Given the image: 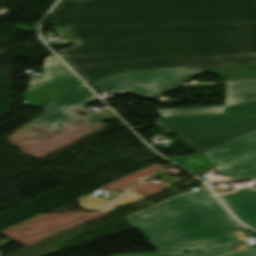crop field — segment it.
<instances>
[{
  "label": "crop field",
  "instance_id": "crop-field-1",
  "mask_svg": "<svg viewBox=\"0 0 256 256\" xmlns=\"http://www.w3.org/2000/svg\"><path fill=\"white\" fill-rule=\"evenodd\" d=\"M50 16L76 43L60 57L88 84L168 67L256 65V0L59 1Z\"/></svg>",
  "mask_w": 256,
  "mask_h": 256
},
{
  "label": "crop field",
  "instance_id": "crop-field-2",
  "mask_svg": "<svg viewBox=\"0 0 256 256\" xmlns=\"http://www.w3.org/2000/svg\"><path fill=\"white\" fill-rule=\"evenodd\" d=\"M127 219L153 243L232 219V216L207 189L197 193L187 191Z\"/></svg>",
  "mask_w": 256,
  "mask_h": 256
},
{
  "label": "crop field",
  "instance_id": "crop-field-3",
  "mask_svg": "<svg viewBox=\"0 0 256 256\" xmlns=\"http://www.w3.org/2000/svg\"><path fill=\"white\" fill-rule=\"evenodd\" d=\"M156 124L165 134L175 133L200 154L256 131V102L226 108L225 115L163 118Z\"/></svg>",
  "mask_w": 256,
  "mask_h": 256
},
{
  "label": "crop field",
  "instance_id": "crop-field-4",
  "mask_svg": "<svg viewBox=\"0 0 256 256\" xmlns=\"http://www.w3.org/2000/svg\"><path fill=\"white\" fill-rule=\"evenodd\" d=\"M220 173L234 180L256 176V132L204 153ZM234 215L251 227L256 223V190L240 189L220 196Z\"/></svg>",
  "mask_w": 256,
  "mask_h": 256
},
{
  "label": "crop field",
  "instance_id": "crop-field-5",
  "mask_svg": "<svg viewBox=\"0 0 256 256\" xmlns=\"http://www.w3.org/2000/svg\"><path fill=\"white\" fill-rule=\"evenodd\" d=\"M204 73L186 68L119 75L101 82L93 83L101 92L114 88L115 93L137 94L153 99Z\"/></svg>",
  "mask_w": 256,
  "mask_h": 256
},
{
  "label": "crop field",
  "instance_id": "crop-field-6",
  "mask_svg": "<svg viewBox=\"0 0 256 256\" xmlns=\"http://www.w3.org/2000/svg\"><path fill=\"white\" fill-rule=\"evenodd\" d=\"M242 230H246V228L239 224L236 220L232 219L180 236L156 242L153 245L164 256H176L183 252L193 250L197 247L213 242L223 236L229 235L232 232Z\"/></svg>",
  "mask_w": 256,
  "mask_h": 256
},
{
  "label": "crop field",
  "instance_id": "crop-field-7",
  "mask_svg": "<svg viewBox=\"0 0 256 256\" xmlns=\"http://www.w3.org/2000/svg\"><path fill=\"white\" fill-rule=\"evenodd\" d=\"M97 99L84 84L75 86L46 105L43 109L47 112L34 122L55 130L76 117L66 111Z\"/></svg>",
  "mask_w": 256,
  "mask_h": 256
},
{
  "label": "crop field",
  "instance_id": "crop-field-8",
  "mask_svg": "<svg viewBox=\"0 0 256 256\" xmlns=\"http://www.w3.org/2000/svg\"><path fill=\"white\" fill-rule=\"evenodd\" d=\"M256 101V80L227 82L225 106L176 108L158 110L161 117L202 116L224 114L225 107Z\"/></svg>",
  "mask_w": 256,
  "mask_h": 256
},
{
  "label": "crop field",
  "instance_id": "crop-field-9",
  "mask_svg": "<svg viewBox=\"0 0 256 256\" xmlns=\"http://www.w3.org/2000/svg\"><path fill=\"white\" fill-rule=\"evenodd\" d=\"M144 197L146 196L131 190L112 201L104 198H91L87 196H84L78 200L80 201L79 205L84 210L91 211L92 209H95L109 213L116 210L119 206H125Z\"/></svg>",
  "mask_w": 256,
  "mask_h": 256
},
{
  "label": "crop field",
  "instance_id": "crop-field-10",
  "mask_svg": "<svg viewBox=\"0 0 256 256\" xmlns=\"http://www.w3.org/2000/svg\"><path fill=\"white\" fill-rule=\"evenodd\" d=\"M73 78H76V76L65 65L45 69L38 78L31 79L27 92Z\"/></svg>",
  "mask_w": 256,
  "mask_h": 256
},
{
  "label": "crop field",
  "instance_id": "crop-field-11",
  "mask_svg": "<svg viewBox=\"0 0 256 256\" xmlns=\"http://www.w3.org/2000/svg\"><path fill=\"white\" fill-rule=\"evenodd\" d=\"M238 245L239 241L235 233H233L213 243L197 248L189 253L191 256H219L234 252Z\"/></svg>",
  "mask_w": 256,
  "mask_h": 256
},
{
  "label": "crop field",
  "instance_id": "crop-field-12",
  "mask_svg": "<svg viewBox=\"0 0 256 256\" xmlns=\"http://www.w3.org/2000/svg\"><path fill=\"white\" fill-rule=\"evenodd\" d=\"M205 72L221 76L226 80L248 78V77L256 78V66L216 69V70H208Z\"/></svg>",
  "mask_w": 256,
  "mask_h": 256
},
{
  "label": "crop field",
  "instance_id": "crop-field-13",
  "mask_svg": "<svg viewBox=\"0 0 256 256\" xmlns=\"http://www.w3.org/2000/svg\"><path fill=\"white\" fill-rule=\"evenodd\" d=\"M224 256H256V247Z\"/></svg>",
  "mask_w": 256,
  "mask_h": 256
},
{
  "label": "crop field",
  "instance_id": "crop-field-14",
  "mask_svg": "<svg viewBox=\"0 0 256 256\" xmlns=\"http://www.w3.org/2000/svg\"><path fill=\"white\" fill-rule=\"evenodd\" d=\"M110 256H163L160 252H149V253H133V254H119Z\"/></svg>",
  "mask_w": 256,
  "mask_h": 256
},
{
  "label": "crop field",
  "instance_id": "crop-field-15",
  "mask_svg": "<svg viewBox=\"0 0 256 256\" xmlns=\"http://www.w3.org/2000/svg\"><path fill=\"white\" fill-rule=\"evenodd\" d=\"M46 63L45 66H43V68H46V67H50V66H54V65H58V64H61L62 62L57 59L54 55L52 56H48V59L44 61Z\"/></svg>",
  "mask_w": 256,
  "mask_h": 256
},
{
  "label": "crop field",
  "instance_id": "crop-field-16",
  "mask_svg": "<svg viewBox=\"0 0 256 256\" xmlns=\"http://www.w3.org/2000/svg\"><path fill=\"white\" fill-rule=\"evenodd\" d=\"M11 242L10 240H0V246Z\"/></svg>",
  "mask_w": 256,
  "mask_h": 256
},
{
  "label": "crop field",
  "instance_id": "crop-field-17",
  "mask_svg": "<svg viewBox=\"0 0 256 256\" xmlns=\"http://www.w3.org/2000/svg\"><path fill=\"white\" fill-rule=\"evenodd\" d=\"M181 256H190L189 253H184L183 255Z\"/></svg>",
  "mask_w": 256,
  "mask_h": 256
},
{
  "label": "crop field",
  "instance_id": "crop-field-18",
  "mask_svg": "<svg viewBox=\"0 0 256 256\" xmlns=\"http://www.w3.org/2000/svg\"><path fill=\"white\" fill-rule=\"evenodd\" d=\"M253 229H255V230H256V226H255V227H253Z\"/></svg>",
  "mask_w": 256,
  "mask_h": 256
}]
</instances>
